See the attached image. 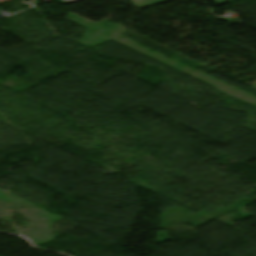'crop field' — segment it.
Returning a JSON list of instances; mask_svg holds the SVG:
<instances>
[{
  "label": "crop field",
  "mask_w": 256,
  "mask_h": 256,
  "mask_svg": "<svg viewBox=\"0 0 256 256\" xmlns=\"http://www.w3.org/2000/svg\"><path fill=\"white\" fill-rule=\"evenodd\" d=\"M131 1L134 2V1H138V0H131ZM161 1H164V0H142V1H139V2H135V4L137 5L138 8H140V7H144V6L151 5V4H154V3H158V2H161Z\"/></svg>",
  "instance_id": "1"
},
{
  "label": "crop field",
  "mask_w": 256,
  "mask_h": 256,
  "mask_svg": "<svg viewBox=\"0 0 256 256\" xmlns=\"http://www.w3.org/2000/svg\"><path fill=\"white\" fill-rule=\"evenodd\" d=\"M212 1H214V2H216V3H218V4L224 3V0H212Z\"/></svg>",
  "instance_id": "2"
},
{
  "label": "crop field",
  "mask_w": 256,
  "mask_h": 256,
  "mask_svg": "<svg viewBox=\"0 0 256 256\" xmlns=\"http://www.w3.org/2000/svg\"><path fill=\"white\" fill-rule=\"evenodd\" d=\"M22 1H26V0H22Z\"/></svg>",
  "instance_id": "3"
}]
</instances>
